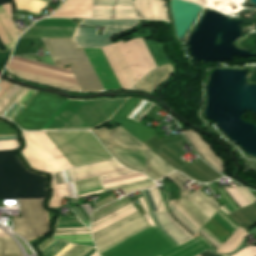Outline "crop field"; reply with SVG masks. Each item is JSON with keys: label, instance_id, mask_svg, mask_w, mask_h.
Here are the masks:
<instances>
[{"label": "crop field", "instance_id": "3316defc", "mask_svg": "<svg viewBox=\"0 0 256 256\" xmlns=\"http://www.w3.org/2000/svg\"><path fill=\"white\" fill-rule=\"evenodd\" d=\"M65 98L38 92L14 120L24 130H41Z\"/></svg>", "mask_w": 256, "mask_h": 256}, {"label": "crop field", "instance_id": "d8731c3e", "mask_svg": "<svg viewBox=\"0 0 256 256\" xmlns=\"http://www.w3.org/2000/svg\"><path fill=\"white\" fill-rule=\"evenodd\" d=\"M175 247L177 246L156 225L99 255L159 256Z\"/></svg>", "mask_w": 256, "mask_h": 256}, {"label": "crop field", "instance_id": "4a817a6b", "mask_svg": "<svg viewBox=\"0 0 256 256\" xmlns=\"http://www.w3.org/2000/svg\"><path fill=\"white\" fill-rule=\"evenodd\" d=\"M123 170H127V169L122 167L115 160H110V161H106V162H102L94 165L73 169V170H70V172H71L73 181L75 182V181L102 176V175L119 172Z\"/></svg>", "mask_w": 256, "mask_h": 256}, {"label": "crop field", "instance_id": "e1f06a70", "mask_svg": "<svg viewBox=\"0 0 256 256\" xmlns=\"http://www.w3.org/2000/svg\"><path fill=\"white\" fill-rule=\"evenodd\" d=\"M167 177L178 185L180 193H181V197L180 198L186 197L189 194H191L187 189H185L183 186L180 185V184H182V183H184V182H186V181H188L190 179L186 178L185 176H183L179 172H173L172 174H170Z\"/></svg>", "mask_w": 256, "mask_h": 256}, {"label": "crop field", "instance_id": "d1516ede", "mask_svg": "<svg viewBox=\"0 0 256 256\" xmlns=\"http://www.w3.org/2000/svg\"><path fill=\"white\" fill-rule=\"evenodd\" d=\"M19 87L9 84L6 81L0 79V110L8 102V100L13 96V94L18 90ZM23 88L14 94V96L9 100V102L0 111V116L9 107V105L15 100V98L21 93ZM36 91L24 89L22 93L16 98V100L10 105V107L4 112L2 116L14 120L15 117L20 113V111L27 105V103L34 97Z\"/></svg>", "mask_w": 256, "mask_h": 256}, {"label": "crop field", "instance_id": "00972430", "mask_svg": "<svg viewBox=\"0 0 256 256\" xmlns=\"http://www.w3.org/2000/svg\"><path fill=\"white\" fill-rule=\"evenodd\" d=\"M192 145L197 149L201 156L207 161L210 165L215 167L220 172L223 171L222 164L217 158L213 151L196 135L193 131L184 132Z\"/></svg>", "mask_w": 256, "mask_h": 256}, {"label": "crop field", "instance_id": "5142ce71", "mask_svg": "<svg viewBox=\"0 0 256 256\" xmlns=\"http://www.w3.org/2000/svg\"><path fill=\"white\" fill-rule=\"evenodd\" d=\"M139 101V99L130 98L128 102L121 108V110L114 116L112 121L118 123L121 127L143 142L156 135L155 131L138 122L125 118Z\"/></svg>", "mask_w": 256, "mask_h": 256}, {"label": "crop field", "instance_id": "d23c7cc5", "mask_svg": "<svg viewBox=\"0 0 256 256\" xmlns=\"http://www.w3.org/2000/svg\"><path fill=\"white\" fill-rule=\"evenodd\" d=\"M96 251L95 248H92L91 250H89L85 255L83 256H90L92 255L94 252ZM92 256H97V253L95 252Z\"/></svg>", "mask_w": 256, "mask_h": 256}, {"label": "crop field", "instance_id": "03da06ac", "mask_svg": "<svg viewBox=\"0 0 256 256\" xmlns=\"http://www.w3.org/2000/svg\"><path fill=\"white\" fill-rule=\"evenodd\" d=\"M6 134H17L12 129H10L5 123L0 121V135Z\"/></svg>", "mask_w": 256, "mask_h": 256}, {"label": "crop field", "instance_id": "d32e631a", "mask_svg": "<svg viewBox=\"0 0 256 256\" xmlns=\"http://www.w3.org/2000/svg\"><path fill=\"white\" fill-rule=\"evenodd\" d=\"M149 52L151 53L157 67L166 64V60L157 44L155 41L143 39Z\"/></svg>", "mask_w": 256, "mask_h": 256}, {"label": "crop field", "instance_id": "c035e120", "mask_svg": "<svg viewBox=\"0 0 256 256\" xmlns=\"http://www.w3.org/2000/svg\"><path fill=\"white\" fill-rule=\"evenodd\" d=\"M89 249L88 247H82L76 245L74 248H72L68 253H66L64 256H82L85 254Z\"/></svg>", "mask_w": 256, "mask_h": 256}, {"label": "crop field", "instance_id": "412701ff", "mask_svg": "<svg viewBox=\"0 0 256 256\" xmlns=\"http://www.w3.org/2000/svg\"><path fill=\"white\" fill-rule=\"evenodd\" d=\"M44 133L73 167L112 158L89 132L70 131Z\"/></svg>", "mask_w": 256, "mask_h": 256}, {"label": "crop field", "instance_id": "425ffa30", "mask_svg": "<svg viewBox=\"0 0 256 256\" xmlns=\"http://www.w3.org/2000/svg\"><path fill=\"white\" fill-rule=\"evenodd\" d=\"M4 6H5L7 12L9 13V15H10V17H11V12H12V5H11V3L6 4V5H4ZM11 19H12V18H11Z\"/></svg>", "mask_w": 256, "mask_h": 256}, {"label": "crop field", "instance_id": "214f88e0", "mask_svg": "<svg viewBox=\"0 0 256 256\" xmlns=\"http://www.w3.org/2000/svg\"><path fill=\"white\" fill-rule=\"evenodd\" d=\"M51 188L53 189L52 196L75 198L76 194L72 184V179L68 170L53 173Z\"/></svg>", "mask_w": 256, "mask_h": 256}, {"label": "crop field", "instance_id": "ac0d7876", "mask_svg": "<svg viewBox=\"0 0 256 256\" xmlns=\"http://www.w3.org/2000/svg\"><path fill=\"white\" fill-rule=\"evenodd\" d=\"M129 202L130 201L126 197H124V198H122V199H120V200H118L114 203H111V204L95 211L92 220L101 216V215H103V214H106V213H108V212H110V211H112L116 208H119V207H121V206H123V205H125ZM135 213H137L136 209L133 207V205L131 203H129V204H127V205H125V206H123L119 209H116V210H114V211H112V212H110L106 215H103V216L91 221V233L93 234V233H95V232H97V231H99V230H101L105 227H108V226H110V225H112V224H114V223H116V222H118L122 219H125V218H127V217H129V216H131ZM139 218H141V216H140L139 213H137V214L125 219V220H122V221H120V222H118V223H116V224H114V225H112L108 228H105V229L93 234L92 236L95 240V239H97V238H99V237H101V236H103V235H105L109 232H112V231H114V230H116V229H118V228H120L124 225H127V224H129V223H131V222H133V221H135ZM146 224L147 223L143 220V218H141V219H139V220L127 225V226H124V227H122V228H120V229H118V230H116L112 233H109V234L95 240V243L97 245V249L106 245V244H108V243H110V242H112V241H114V240H116V239H118V238H120V237H122V236H124V235H126V234H128V233H130V232H132V231H134V230H136V229H138V228H140V227H142V226H144V225H146ZM148 228H150V227L147 225V226H145V227H143V228H141V229H139V230H137V231H135V232H133V233H131V234H129V235H127V236H125V237H123V238H121V239H119V240L101 248V249H99L98 252L101 253V252H103V251H105V250H107V249L125 241L126 239H128V238H130V237H132V236H134V235H136V234H138V233H140V232H142V231H144Z\"/></svg>", "mask_w": 256, "mask_h": 256}, {"label": "crop field", "instance_id": "34b2d1b8", "mask_svg": "<svg viewBox=\"0 0 256 256\" xmlns=\"http://www.w3.org/2000/svg\"><path fill=\"white\" fill-rule=\"evenodd\" d=\"M44 180L26 171L14 150L0 151V199H43Z\"/></svg>", "mask_w": 256, "mask_h": 256}, {"label": "crop field", "instance_id": "120bbe31", "mask_svg": "<svg viewBox=\"0 0 256 256\" xmlns=\"http://www.w3.org/2000/svg\"><path fill=\"white\" fill-rule=\"evenodd\" d=\"M154 107V105L141 100L138 105L131 111V113L127 116V118L136 120L140 122L146 114L149 112V110Z\"/></svg>", "mask_w": 256, "mask_h": 256}, {"label": "crop field", "instance_id": "cbeb9de0", "mask_svg": "<svg viewBox=\"0 0 256 256\" xmlns=\"http://www.w3.org/2000/svg\"><path fill=\"white\" fill-rule=\"evenodd\" d=\"M201 228L208 222L192 205L184 198L172 200ZM171 200L168 201L172 215L193 235L201 228L198 227L185 213H183Z\"/></svg>", "mask_w": 256, "mask_h": 256}, {"label": "crop field", "instance_id": "4177f3b9", "mask_svg": "<svg viewBox=\"0 0 256 256\" xmlns=\"http://www.w3.org/2000/svg\"><path fill=\"white\" fill-rule=\"evenodd\" d=\"M187 199L207 218L210 219L219 209L215 200L206 197L200 190L187 197Z\"/></svg>", "mask_w": 256, "mask_h": 256}, {"label": "crop field", "instance_id": "dbb93151", "mask_svg": "<svg viewBox=\"0 0 256 256\" xmlns=\"http://www.w3.org/2000/svg\"><path fill=\"white\" fill-rule=\"evenodd\" d=\"M18 30V29H17ZM18 32H19V34H21L22 33V31H20V30H18Z\"/></svg>", "mask_w": 256, "mask_h": 256}, {"label": "crop field", "instance_id": "c21b1889", "mask_svg": "<svg viewBox=\"0 0 256 256\" xmlns=\"http://www.w3.org/2000/svg\"><path fill=\"white\" fill-rule=\"evenodd\" d=\"M137 200H138V202L140 203L141 207L143 208V210L146 213V214H144L142 216L148 221V223L151 225V227L154 226V223H153V221L151 219V216H150V214H149V212L147 210V207L145 205V201H144L143 197H141V198H139Z\"/></svg>", "mask_w": 256, "mask_h": 256}, {"label": "crop field", "instance_id": "5866460e", "mask_svg": "<svg viewBox=\"0 0 256 256\" xmlns=\"http://www.w3.org/2000/svg\"><path fill=\"white\" fill-rule=\"evenodd\" d=\"M142 175L143 174L135 173L130 170H127V171H123V172H119V173H115V174L102 176L100 178H101L102 184H104V183H108V182H112V181H117V180H121V179L137 177V176H142Z\"/></svg>", "mask_w": 256, "mask_h": 256}, {"label": "crop field", "instance_id": "1d83c4d3", "mask_svg": "<svg viewBox=\"0 0 256 256\" xmlns=\"http://www.w3.org/2000/svg\"><path fill=\"white\" fill-rule=\"evenodd\" d=\"M15 3V9L16 10H24L32 13L39 14V12L47 5L46 3H49L50 0H12Z\"/></svg>", "mask_w": 256, "mask_h": 256}, {"label": "crop field", "instance_id": "730fd06b", "mask_svg": "<svg viewBox=\"0 0 256 256\" xmlns=\"http://www.w3.org/2000/svg\"><path fill=\"white\" fill-rule=\"evenodd\" d=\"M210 247L212 246L199 236L162 256H194Z\"/></svg>", "mask_w": 256, "mask_h": 256}, {"label": "crop field", "instance_id": "25e5ab78", "mask_svg": "<svg viewBox=\"0 0 256 256\" xmlns=\"http://www.w3.org/2000/svg\"><path fill=\"white\" fill-rule=\"evenodd\" d=\"M202 255H203V256H216V255H214V254H212V253H209V252H207V251L203 252ZM202 255L200 254V255H198V256H202Z\"/></svg>", "mask_w": 256, "mask_h": 256}, {"label": "crop field", "instance_id": "ae1a2a85", "mask_svg": "<svg viewBox=\"0 0 256 256\" xmlns=\"http://www.w3.org/2000/svg\"><path fill=\"white\" fill-rule=\"evenodd\" d=\"M0 20L3 23L5 29L7 30L9 36L11 37L12 41H14L18 35V32H17L16 28L14 27L4 6L0 7ZM0 38H1L2 42L4 43L6 49H9L12 47V44H11L8 36L6 35L3 27L1 26V24H0ZM1 40H0V51H4L5 48H4Z\"/></svg>", "mask_w": 256, "mask_h": 256}, {"label": "crop field", "instance_id": "bc2a9ffb", "mask_svg": "<svg viewBox=\"0 0 256 256\" xmlns=\"http://www.w3.org/2000/svg\"><path fill=\"white\" fill-rule=\"evenodd\" d=\"M138 19L169 20L165 0H135Z\"/></svg>", "mask_w": 256, "mask_h": 256}, {"label": "crop field", "instance_id": "89e229c0", "mask_svg": "<svg viewBox=\"0 0 256 256\" xmlns=\"http://www.w3.org/2000/svg\"><path fill=\"white\" fill-rule=\"evenodd\" d=\"M8 0H0V4L8 3Z\"/></svg>", "mask_w": 256, "mask_h": 256}, {"label": "crop field", "instance_id": "b80d0937", "mask_svg": "<svg viewBox=\"0 0 256 256\" xmlns=\"http://www.w3.org/2000/svg\"><path fill=\"white\" fill-rule=\"evenodd\" d=\"M71 227H85L81 222H68V223H57L56 228H71ZM87 228H71V229H56V231L64 230H80Z\"/></svg>", "mask_w": 256, "mask_h": 256}, {"label": "crop field", "instance_id": "1f2cbd36", "mask_svg": "<svg viewBox=\"0 0 256 256\" xmlns=\"http://www.w3.org/2000/svg\"><path fill=\"white\" fill-rule=\"evenodd\" d=\"M0 256H21V255H0Z\"/></svg>", "mask_w": 256, "mask_h": 256}, {"label": "crop field", "instance_id": "dd49c442", "mask_svg": "<svg viewBox=\"0 0 256 256\" xmlns=\"http://www.w3.org/2000/svg\"><path fill=\"white\" fill-rule=\"evenodd\" d=\"M21 132L26 143L21 153L31 168L50 173L72 167L43 132Z\"/></svg>", "mask_w": 256, "mask_h": 256}, {"label": "crop field", "instance_id": "750c4746", "mask_svg": "<svg viewBox=\"0 0 256 256\" xmlns=\"http://www.w3.org/2000/svg\"><path fill=\"white\" fill-rule=\"evenodd\" d=\"M156 190H157L158 195H159V197H160V200H161V203H162V205H163L164 211H165V212H168V211H167V207H166L167 195L164 194L165 192L163 193L162 191H160V190H158V189H156ZM156 190H155V188H154V189H147V190H145V192H146V195H147V197H148V200H149V202H150V204H151L152 210H153V211H156V212H164V211H163V208H162V205H161V203H160V200H159V198H158V195H157ZM145 192H144V190L142 191V193H143V195H144V198H145V200H146V203H147L148 210L151 211L150 204H149V202H148V200H147V198H146Z\"/></svg>", "mask_w": 256, "mask_h": 256}, {"label": "crop field", "instance_id": "d3111659", "mask_svg": "<svg viewBox=\"0 0 256 256\" xmlns=\"http://www.w3.org/2000/svg\"><path fill=\"white\" fill-rule=\"evenodd\" d=\"M228 216L235 220L243 229L247 230L256 224V203Z\"/></svg>", "mask_w": 256, "mask_h": 256}, {"label": "crop field", "instance_id": "733c2abd", "mask_svg": "<svg viewBox=\"0 0 256 256\" xmlns=\"http://www.w3.org/2000/svg\"><path fill=\"white\" fill-rule=\"evenodd\" d=\"M150 213L159 229L177 246L193 238L170 217L169 213Z\"/></svg>", "mask_w": 256, "mask_h": 256}, {"label": "crop field", "instance_id": "d9b57169", "mask_svg": "<svg viewBox=\"0 0 256 256\" xmlns=\"http://www.w3.org/2000/svg\"><path fill=\"white\" fill-rule=\"evenodd\" d=\"M95 133L105 146L151 151L120 126L111 131L101 128Z\"/></svg>", "mask_w": 256, "mask_h": 256}, {"label": "crop field", "instance_id": "8a807250", "mask_svg": "<svg viewBox=\"0 0 256 256\" xmlns=\"http://www.w3.org/2000/svg\"><path fill=\"white\" fill-rule=\"evenodd\" d=\"M128 99H67L42 130H91L110 120Z\"/></svg>", "mask_w": 256, "mask_h": 256}, {"label": "crop field", "instance_id": "5d738f31", "mask_svg": "<svg viewBox=\"0 0 256 256\" xmlns=\"http://www.w3.org/2000/svg\"><path fill=\"white\" fill-rule=\"evenodd\" d=\"M81 207L83 208V210L85 211L87 216L90 218L91 212L93 210L92 207L90 206V204L81 205Z\"/></svg>", "mask_w": 256, "mask_h": 256}, {"label": "crop field", "instance_id": "dafd665d", "mask_svg": "<svg viewBox=\"0 0 256 256\" xmlns=\"http://www.w3.org/2000/svg\"><path fill=\"white\" fill-rule=\"evenodd\" d=\"M108 149L116 156L120 162L129 166L130 168L143 171L146 166V156L143 155L140 151L114 148Z\"/></svg>", "mask_w": 256, "mask_h": 256}, {"label": "crop field", "instance_id": "a9b5d70f", "mask_svg": "<svg viewBox=\"0 0 256 256\" xmlns=\"http://www.w3.org/2000/svg\"><path fill=\"white\" fill-rule=\"evenodd\" d=\"M143 152L148 154V166L143 173L149 178L153 180H158L161 177L167 175L168 173L176 170L152 152Z\"/></svg>", "mask_w": 256, "mask_h": 256}, {"label": "crop field", "instance_id": "28ad6ade", "mask_svg": "<svg viewBox=\"0 0 256 256\" xmlns=\"http://www.w3.org/2000/svg\"><path fill=\"white\" fill-rule=\"evenodd\" d=\"M43 200H18L21 218H12L15 233L24 235L48 232Z\"/></svg>", "mask_w": 256, "mask_h": 256}, {"label": "crop field", "instance_id": "f4fd0767", "mask_svg": "<svg viewBox=\"0 0 256 256\" xmlns=\"http://www.w3.org/2000/svg\"><path fill=\"white\" fill-rule=\"evenodd\" d=\"M77 48L73 38H71ZM54 66L62 67L64 64L74 62L70 68L77 79L81 89H103L94 70L92 69L84 51H76L71 40L50 41L54 53L47 38L41 39Z\"/></svg>", "mask_w": 256, "mask_h": 256}, {"label": "crop field", "instance_id": "e52e79f7", "mask_svg": "<svg viewBox=\"0 0 256 256\" xmlns=\"http://www.w3.org/2000/svg\"><path fill=\"white\" fill-rule=\"evenodd\" d=\"M183 140H185L183 135L161 140H158L157 136H154L145 142L159 151L158 154L156 153L157 155H159L177 170L193 180L198 182H210L221 178L219 174H217L213 169H211L201 160L192 166H189L184 161H182L179 156L184 153L181 151V147L178 146L175 142Z\"/></svg>", "mask_w": 256, "mask_h": 256}, {"label": "crop field", "instance_id": "73cf0c24", "mask_svg": "<svg viewBox=\"0 0 256 256\" xmlns=\"http://www.w3.org/2000/svg\"><path fill=\"white\" fill-rule=\"evenodd\" d=\"M0 237H8L4 232L0 231Z\"/></svg>", "mask_w": 256, "mask_h": 256}, {"label": "crop field", "instance_id": "22f410ed", "mask_svg": "<svg viewBox=\"0 0 256 256\" xmlns=\"http://www.w3.org/2000/svg\"><path fill=\"white\" fill-rule=\"evenodd\" d=\"M38 22H72L70 19H43ZM74 23H35L20 38L72 37Z\"/></svg>", "mask_w": 256, "mask_h": 256}, {"label": "crop field", "instance_id": "b54c1fbb", "mask_svg": "<svg viewBox=\"0 0 256 256\" xmlns=\"http://www.w3.org/2000/svg\"><path fill=\"white\" fill-rule=\"evenodd\" d=\"M112 200H114V198H113L112 195H111V196H109V197H107V198H105V199H103V200H101V201L95 203L96 208H98V207H100V206H102V205H104V204H106V203H108V202H110V201H112Z\"/></svg>", "mask_w": 256, "mask_h": 256}, {"label": "crop field", "instance_id": "5a996713", "mask_svg": "<svg viewBox=\"0 0 256 256\" xmlns=\"http://www.w3.org/2000/svg\"><path fill=\"white\" fill-rule=\"evenodd\" d=\"M224 192L228 195V197L233 201V203L237 206L238 209L243 208L256 200L249 194L247 189L243 187L239 188H229L223 189ZM222 189H217L218 193L221 195V197L224 199L227 205H225L231 212L238 210L236 206L232 203V201L227 197V195L223 192ZM220 207L219 209L222 210L224 213L228 214L230 211L225 207ZM218 211L213 217L222 224L230 233H234L240 226L237 225L231 218H229L226 214H224L221 211ZM212 217L211 221L208 222L205 226V228L213 235L215 236L222 244L226 239H228L231 234L223 227L221 226L214 218Z\"/></svg>", "mask_w": 256, "mask_h": 256}, {"label": "crop field", "instance_id": "0bd39190", "mask_svg": "<svg viewBox=\"0 0 256 256\" xmlns=\"http://www.w3.org/2000/svg\"><path fill=\"white\" fill-rule=\"evenodd\" d=\"M17 146L16 136L0 137V150L15 149Z\"/></svg>", "mask_w": 256, "mask_h": 256}, {"label": "crop field", "instance_id": "92a150f3", "mask_svg": "<svg viewBox=\"0 0 256 256\" xmlns=\"http://www.w3.org/2000/svg\"><path fill=\"white\" fill-rule=\"evenodd\" d=\"M172 72L171 65L159 67L151 71L132 89L152 92V90L163 80L167 79Z\"/></svg>", "mask_w": 256, "mask_h": 256}, {"label": "crop field", "instance_id": "028f5c9d", "mask_svg": "<svg viewBox=\"0 0 256 256\" xmlns=\"http://www.w3.org/2000/svg\"><path fill=\"white\" fill-rule=\"evenodd\" d=\"M0 254H21L10 238H0Z\"/></svg>", "mask_w": 256, "mask_h": 256}, {"label": "crop field", "instance_id": "eef30255", "mask_svg": "<svg viewBox=\"0 0 256 256\" xmlns=\"http://www.w3.org/2000/svg\"><path fill=\"white\" fill-rule=\"evenodd\" d=\"M146 182H150V180L147 179L145 176H142V177H137V178H133V179L104 184L103 187H104L105 192H108V191H112V190H115L118 188H123V187L146 183ZM155 186L156 185L153 182H150V183H146V184L123 188L122 190L125 194H127L134 190L155 187Z\"/></svg>", "mask_w": 256, "mask_h": 256}, {"label": "crop field", "instance_id": "bd1437ed", "mask_svg": "<svg viewBox=\"0 0 256 256\" xmlns=\"http://www.w3.org/2000/svg\"><path fill=\"white\" fill-rule=\"evenodd\" d=\"M78 197L103 192L99 177L74 183Z\"/></svg>", "mask_w": 256, "mask_h": 256}]
</instances>
